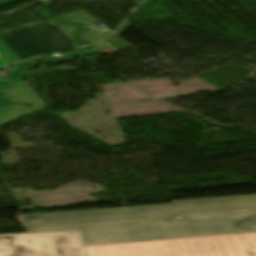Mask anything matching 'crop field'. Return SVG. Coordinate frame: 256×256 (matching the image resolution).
Segmentation results:
<instances>
[{
    "label": "crop field",
    "instance_id": "412701ff",
    "mask_svg": "<svg viewBox=\"0 0 256 256\" xmlns=\"http://www.w3.org/2000/svg\"><path fill=\"white\" fill-rule=\"evenodd\" d=\"M74 42L47 21L0 34V68L30 56L74 48Z\"/></svg>",
    "mask_w": 256,
    "mask_h": 256
},
{
    "label": "crop field",
    "instance_id": "f4fd0767",
    "mask_svg": "<svg viewBox=\"0 0 256 256\" xmlns=\"http://www.w3.org/2000/svg\"><path fill=\"white\" fill-rule=\"evenodd\" d=\"M0 256H87L78 231L0 235Z\"/></svg>",
    "mask_w": 256,
    "mask_h": 256
},
{
    "label": "crop field",
    "instance_id": "8a807250",
    "mask_svg": "<svg viewBox=\"0 0 256 256\" xmlns=\"http://www.w3.org/2000/svg\"><path fill=\"white\" fill-rule=\"evenodd\" d=\"M78 224L85 246L256 232V211Z\"/></svg>",
    "mask_w": 256,
    "mask_h": 256
},
{
    "label": "crop field",
    "instance_id": "34b2d1b8",
    "mask_svg": "<svg viewBox=\"0 0 256 256\" xmlns=\"http://www.w3.org/2000/svg\"><path fill=\"white\" fill-rule=\"evenodd\" d=\"M85 248L88 256H256V233Z\"/></svg>",
    "mask_w": 256,
    "mask_h": 256
},
{
    "label": "crop field",
    "instance_id": "28ad6ade",
    "mask_svg": "<svg viewBox=\"0 0 256 256\" xmlns=\"http://www.w3.org/2000/svg\"><path fill=\"white\" fill-rule=\"evenodd\" d=\"M36 60L37 59L34 58V59H31V60H27V61H23V62H20L18 64H15L14 66L17 67V66H21V65H24V64H31V65L35 66V65H37Z\"/></svg>",
    "mask_w": 256,
    "mask_h": 256
},
{
    "label": "crop field",
    "instance_id": "d8731c3e",
    "mask_svg": "<svg viewBox=\"0 0 256 256\" xmlns=\"http://www.w3.org/2000/svg\"><path fill=\"white\" fill-rule=\"evenodd\" d=\"M111 32H109L107 29L103 28L100 30H91L87 33L82 32L79 35L83 37L82 40L79 41L80 44L85 45L89 43H93L96 41H100L105 39Z\"/></svg>",
    "mask_w": 256,
    "mask_h": 256
},
{
    "label": "crop field",
    "instance_id": "e52e79f7",
    "mask_svg": "<svg viewBox=\"0 0 256 256\" xmlns=\"http://www.w3.org/2000/svg\"><path fill=\"white\" fill-rule=\"evenodd\" d=\"M51 21H68L73 25H80V26H93L91 22H94L90 16H88L83 11L77 12L74 14L66 15L63 17L51 19Z\"/></svg>",
    "mask_w": 256,
    "mask_h": 256
},
{
    "label": "crop field",
    "instance_id": "d1516ede",
    "mask_svg": "<svg viewBox=\"0 0 256 256\" xmlns=\"http://www.w3.org/2000/svg\"><path fill=\"white\" fill-rule=\"evenodd\" d=\"M16 1H20V0H0V5L16 2Z\"/></svg>",
    "mask_w": 256,
    "mask_h": 256
},
{
    "label": "crop field",
    "instance_id": "3316defc",
    "mask_svg": "<svg viewBox=\"0 0 256 256\" xmlns=\"http://www.w3.org/2000/svg\"><path fill=\"white\" fill-rule=\"evenodd\" d=\"M67 36H69L74 42L75 40L79 39L75 35L76 32L84 29L82 27H74L69 25L68 23H55Z\"/></svg>",
    "mask_w": 256,
    "mask_h": 256
},
{
    "label": "crop field",
    "instance_id": "cbeb9de0",
    "mask_svg": "<svg viewBox=\"0 0 256 256\" xmlns=\"http://www.w3.org/2000/svg\"><path fill=\"white\" fill-rule=\"evenodd\" d=\"M1 82H3V81H1Z\"/></svg>",
    "mask_w": 256,
    "mask_h": 256
},
{
    "label": "crop field",
    "instance_id": "5a996713",
    "mask_svg": "<svg viewBox=\"0 0 256 256\" xmlns=\"http://www.w3.org/2000/svg\"><path fill=\"white\" fill-rule=\"evenodd\" d=\"M27 233L78 230L77 224L26 228Z\"/></svg>",
    "mask_w": 256,
    "mask_h": 256
},
{
    "label": "crop field",
    "instance_id": "dd49c442",
    "mask_svg": "<svg viewBox=\"0 0 256 256\" xmlns=\"http://www.w3.org/2000/svg\"><path fill=\"white\" fill-rule=\"evenodd\" d=\"M3 91L6 94V99H8V103H31L37 108L35 110L18 108L0 111V126L20 117L40 111L45 107L43 101H40L36 97V95L23 83L12 85L4 89Z\"/></svg>",
    "mask_w": 256,
    "mask_h": 256
},
{
    "label": "crop field",
    "instance_id": "ac0d7876",
    "mask_svg": "<svg viewBox=\"0 0 256 256\" xmlns=\"http://www.w3.org/2000/svg\"><path fill=\"white\" fill-rule=\"evenodd\" d=\"M256 209V194L173 201L172 204L21 216L24 227L71 224L190 213Z\"/></svg>",
    "mask_w": 256,
    "mask_h": 256
},
{
    "label": "crop field",
    "instance_id": "22f410ed",
    "mask_svg": "<svg viewBox=\"0 0 256 256\" xmlns=\"http://www.w3.org/2000/svg\"><path fill=\"white\" fill-rule=\"evenodd\" d=\"M5 104H7V100H5V102H4ZM31 105V104H30ZM26 108V107H25ZM29 109V108H28Z\"/></svg>",
    "mask_w": 256,
    "mask_h": 256
}]
</instances>
